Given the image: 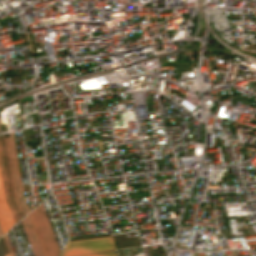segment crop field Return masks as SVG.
I'll list each match as a JSON object with an SVG mask.
<instances>
[{
    "label": "crop field",
    "instance_id": "e52e79f7",
    "mask_svg": "<svg viewBox=\"0 0 256 256\" xmlns=\"http://www.w3.org/2000/svg\"><path fill=\"white\" fill-rule=\"evenodd\" d=\"M0 256H4V255H3V252H2V250H1V247H0Z\"/></svg>",
    "mask_w": 256,
    "mask_h": 256
},
{
    "label": "crop field",
    "instance_id": "ac0d7876",
    "mask_svg": "<svg viewBox=\"0 0 256 256\" xmlns=\"http://www.w3.org/2000/svg\"><path fill=\"white\" fill-rule=\"evenodd\" d=\"M43 227L51 226L42 204L36 207ZM36 209L32 211L38 227H42ZM49 256H58L60 250L51 227L39 229Z\"/></svg>",
    "mask_w": 256,
    "mask_h": 256
},
{
    "label": "crop field",
    "instance_id": "412701ff",
    "mask_svg": "<svg viewBox=\"0 0 256 256\" xmlns=\"http://www.w3.org/2000/svg\"><path fill=\"white\" fill-rule=\"evenodd\" d=\"M14 225V220L12 218L11 212L5 199L0 172V230L2 235H4L8 230H10Z\"/></svg>",
    "mask_w": 256,
    "mask_h": 256
},
{
    "label": "crop field",
    "instance_id": "f4fd0767",
    "mask_svg": "<svg viewBox=\"0 0 256 256\" xmlns=\"http://www.w3.org/2000/svg\"><path fill=\"white\" fill-rule=\"evenodd\" d=\"M23 228L25 230V233L27 235V238L29 240V243L31 245V248L33 250V253L35 256H43L42 250L40 248L39 242L37 240L36 234L34 232L33 226L31 224L29 216L24 218L21 221Z\"/></svg>",
    "mask_w": 256,
    "mask_h": 256
},
{
    "label": "crop field",
    "instance_id": "dd49c442",
    "mask_svg": "<svg viewBox=\"0 0 256 256\" xmlns=\"http://www.w3.org/2000/svg\"><path fill=\"white\" fill-rule=\"evenodd\" d=\"M83 256H115L114 251L111 252H104V253H97V254H90V255H83Z\"/></svg>",
    "mask_w": 256,
    "mask_h": 256
},
{
    "label": "crop field",
    "instance_id": "8a807250",
    "mask_svg": "<svg viewBox=\"0 0 256 256\" xmlns=\"http://www.w3.org/2000/svg\"><path fill=\"white\" fill-rule=\"evenodd\" d=\"M115 248L112 237H99L83 240L69 241L61 256H70L106 249Z\"/></svg>",
    "mask_w": 256,
    "mask_h": 256
},
{
    "label": "crop field",
    "instance_id": "34b2d1b8",
    "mask_svg": "<svg viewBox=\"0 0 256 256\" xmlns=\"http://www.w3.org/2000/svg\"><path fill=\"white\" fill-rule=\"evenodd\" d=\"M7 139H8V145H9L16 193H17V197L19 199L20 205L22 207L23 213H24V215H26L29 212V209H28V206L23 198V189H22V183H21V177H20V171H19V165H18V159H17V153H16L13 132L10 133V137H7Z\"/></svg>",
    "mask_w": 256,
    "mask_h": 256
}]
</instances>
